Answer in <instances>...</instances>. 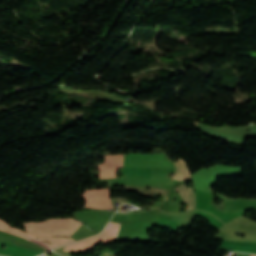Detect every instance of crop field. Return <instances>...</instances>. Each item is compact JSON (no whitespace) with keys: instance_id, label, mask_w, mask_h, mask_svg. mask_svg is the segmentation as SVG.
<instances>
[{"instance_id":"obj_1","label":"crop field","mask_w":256,"mask_h":256,"mask_svg":"<svg viewBox=\"0 0 256 256\" xmlns=\"http://www.w3.org/2000/svg\"><path fill=\"white\" fill-rule=\"evenodd\" d=\"M82 223L74 219H47L43 223L30 222L25 223L24 226L27 230L39 232L50 236H70ZM2 245L6 249L1 248ZM0 254L8 256H36L38 254L18 247L14 244L0 243Z\"/></svg>"},{"instance_id":"obj_2","label":"crop field","mask_w":256,"mask_h":256,"mask_svg":"<svg viewBox=\"0 0 256 256\" xmlns=\"http://www.w3.org/2000/svg\"><path fill=\"white\" fill-rule=\"evenodd\" d=\"M124 155L106 157L105 164L101 165L98 169L101 171L99 177H116L119 167H123ZM178 163H174L175 173L172 176V180L189 181L191 180L189 171L184 161L178 159Z\"/></svg>"},{"instance_id":"obj_3","label":"crop field","mask_w":256,"mask_h":256,"mask_svg":"<svg viewBox=\"0 0 256 256\" xmlns=\"http://www.w3.org/2000/svg\"><path fill=\"white\" fill-rule=\"evenodd\" d=\"M175 190L179 192L183 202L187 203L188 208L186 211L192 210L195 204V195L193 190L188 189L185 182H183ZM120 224L121 223L109 222L106 229L104 228L105 230L100 234L102 241L109 242L112 238L115 239Z\"/></svg>"},{"instance_id":"obj_4","label":"crop field","mask_w":256,"mask_h":256,"mask_svg":"<svg viewBox=\"0 0 256 256\" xmlns=\"http://www.w3.org/2000/svg\"><path fill=\"white\" fill-rule=\"evenodd\" d=\"M82 195L87 200L85 207H94L101 209L111 208L109 200V189L85 191V193Z\"/></svg>"},{"instance_id":"obj_5","label":"crop field","mask_w":256,"mask_h":256,"mask_svg":"<svg viewBox=\"0 0 256 256\" xmlns=\"http://www.w3.org/2000/svg\"><path fill=\"white\" fill-rule=\"evenodd\" d=\"M100 241H101L100 237L99 235H97L83 241L68 244L65 246L64 250L66 251L88 250L93 248Z\"/></svg>"}]
</instances>
